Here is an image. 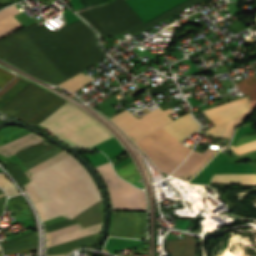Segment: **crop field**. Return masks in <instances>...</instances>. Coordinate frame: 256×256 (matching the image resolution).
<instances>
[{
	"instance_id": "1d83c4d3",
	"label": "crop field",
	"mask_w": 256,
	"mask_h": 256,
	"mask_svg": "<svg viewBox=\"0 0 256 256\" xmlns=\"http://www.w3.org/2000/svg\"><path fill=\"white\" fill-rule=\"evenodd\" d=\"M0 187L2 188V187H4V189L3 190H5L7 193H8V195L11 193V192H13V191H11L10 189H8V188H6L5 186H3L1 183H0Z\"/></svg>"
},
{
	"instance_id": "ac0d7876",
	"label": "crop field",
	"mask_w": 256,
	"mask_h": 256,
	"mask_svg": "<svg viewBox=\"0 0 256 256\" xmlns=\"http://www.w3.org/2000/svg\"><path fill=\"white\" fill-rule=\"evenodd\" d=\"M43 201L89 208L99 201V191L84 167L71 155L33 174L28 183ZM40 202L42 221L62 215L73 218L84 208Z\"/></svg>"
},
{
	"instance_id": "22f410ed",
	"label": "crop field",
	"mask_w": 256,
	"mask_h": 256,
	"mask_svg": "<svg viewBox=\"0 0 256 256\" xmlns=\"http://www.w3.org/2000/svg\"><path fill=\"white\" fill-rule=\"evenodd\" d=\"M98 235L99 233L47 248L46 255L68 253L72 249L82 246L92 247Z\"/></svg>"
},
{
	"instance_id": "00972430",
	"label": "crop field",
	"mask_w": 256,
	"mask_h": 256,
	"mask_svg": "<svg viewBox=\"0 0 256 256\" xmlns=\"http://www.w3.org/2000/svg\"><path fill=\"white\" fill-rule=\"evenodd\" d=\"M67 155H69V154L64 151V152H62V153H60V154H58V155H56V156H54V157H52V158L46 160V161H44L43 163H41V164L35 166L34 168H32V169H30V170H28V171H29L31 174H33V173H35V172H37V171H39V170H41V169H43V168L49 166L50 164H52V163H54V162L60 160L61 158L65 157V156H67ZM28 171L25 172V173H26V174L28 175V177L30 178V174H29Z\"/></svg>"
},
{
	"instance_id": "5142ce71",
	"label": "crop field",
	"mask_w": 256,
	"mask_h": 256,
	"mask_svg": "<svg viewBox=\"0 0 256 256\" xmlns=\"http://www.w3.org/2000/svg\"><path fill=\"white\" fill-rule=\"evenodd\" d=\"M210 183H234V184L256 185V174L213 175Z\"/></svg>"
},
{
	"instance_id": "214f88e0",
	"label": "crop field",
	"mask_w": 256,
	"mask_h": 256,
	"mask_svg": "<svg viewBox=\"0 0 256 256\" xmlns=\"http://www.w3.org/2000/svg\"><path fill=\"white\" fill-rule=\"evenodd\" d=\"M37 231L34 232H30L28 234H25L23 236H20L16 239H13L11 241H8L6 243L1 244L0 246L2 247V249L5 248H10V247H14V246H19V245H23V244H28V243H33V242H37Z\"/></svg>"
},
{
	"instance_id": "34b2d1b8",
	"label": "crop field",
	"mask_w": 256,
	"mask_h": 256,
	"mask_svg": "<svg viewBox=\"0 0 256 256\" xmlns=\"http://www.w3.org/2000/svg\"><path fill=\"white\" fill-rule=\"evenodd\" d=\"M199 127L187 113L162 128L182 142L183 137L198 130ZM162 128L136 144L161 171L169 174L183 161L191 149L185 147Z\"/></svg>"
},
{
	"instance_id": "8a807250",
	"label": "crop field",
	"mask_w": 256,
	"mask_h": 256,
	"mask_svg": "<svg viewBox=\"0 0 256 256\" xmlns=\"http://www.w3.org/2000/svg\"><path fill=\"white\" fill-rule=\"evenodd\" d=\"M67 103L30 83L17 96L7 102L0 109V112L35 126ZM79 110L69 103L41 122L40 125L55 131L52 133L54 135ZM54 136L65 143L80 147H90L113 137L102 125L81 110Z\"/></svg>"
},
{
	"instance_id": "412701ff",
	"label": "crop field",
	"mask_w": 256,
	"mask_h": 256,
	"mask_svg": "<svg viewBox=\"0 0 256 256\" xmlns=\"http://www.w3.org/2000/svg\"><path fill=\"white\" fill-rule=\"evenodd\" d=\"M97 170L107 184L112 210L146 209L144 192L117 177L109 162Z\"/></svg>"
},
{
	"instance_id": "3316defc",
	"label": "crop field",
	"mask_w": 256,
	"mask_h": 256,
	"mask_svg": "<svg viewBox=\"0 0 256 256\" xmlns=\"http://www.w3.org/2000/svg\"><path fill=\"white\" fill-rule=\"evenodd\" d=\"M197 247L194 236L186 233L184 239L165 240V248L170 256H196Z\"/></svg>"
},
{
	"instance_id": "f4fd0767",
	"label": "crop field",
	"mask_w": 256,
	"mask_h": 256,
	"mask_svg": "<svg viewBox=\"0 0 256 256\" xmlns=\"http://www.w3.org/2000/svg\"><path fill=\"white\" fill-rule=\"evenodd\" d=\"M252 111L249 109L247 97L203 110V113L216 125L206 133L230 138L238 122Z\"/></svg>"
},
{
	"instance_id": "a9b5d70f",
	"label": "crop field",
	"mask_w": 256,
	"mask_h": 256,
	"mask_svg": "<svg viewBox=\"0 0 256 256\" xmlns=\"http://www.w3.org/2000/svg\"><path fill=\"white\" fill-rule=\"evenodd\" d=\"M9 204L14 211V215H17L19 212L27 207L21 195L10 198Z\"/></svg>"
},
{
	"instance_id": "dafd665d",
	"label": "crop field",
	"mask_w": 256,
	"mask_h": 256,
	"mask_svg": "<svg viewBox=\"0 0 256 256\" xmlns=\"http://www.w3.org/2000/svg\"><path fill=\"white\" fill-rule=\"evenodd\" d=\"M115 171H116L117 175H119L121 178H123L131 183L140 179L132 162L126 164L125 166H123Z\"/></svg>"
},
{
	"instance_id": "d9b57169",
	"label": "crop field",
	"mask_w": 256,
	"mask_h": 256,
	"mask_svg": "<svg viewBox=\"0 0 256 256\" xmlns=\"http://www.w3.org/2000/svg\"><path fill=\"white\" fill-rule=\"evenodd\" d=\"M28 82L20 77L14 78L9 82L7 86L0 90V107H2L7 101H9L14 95H16L21 89H23Z\"/></svg>"
},
{
	"instance_id": "92a150f3",
	"label": "crop field",
	"mask_w": 256,
	"mask_h": 256,
	"mask_svg": "<svg viewBox=\"0 0 256 256\" xmlns=\"http://www.w3.org/2000/svg\"><path fill=\"white\" fill-rule=\"evenodd\" d=\"M7 171L13 176L15 181L21 186L27 182H29L28 178L26 177L25 173L22 171L21 167L14 165L9 162L1 161ZM11 176V177H12Z\"/></svg>"
},
{
	"instance_id": "730fd06b",
	"label": "crop field",
	"mask_w": 256,
	"mask_h": 256,
	"mask_svg": "<svg viewBox=\"0 0 256 256\" xmlns=\"http://www.w3.org/2000/svg\"><path fill=\"white\" fill-rule=\"evenodd\" d=\"M15 75L0 68V87L10 81Z\"/></svg>"
},
{
	"instance_id": "4a817a6b",
	"label": "crop field",
	"mask_w": 256,
	"mask_h": 256,
	"mask_svg": "<svg viewBox=\"0 0 256 256\" xmlns=\"http://www.w3.org/2000/svg\"><path fill=\"white\" fill-rule=\"evenodd\" d=\"M92 81L93 79L80 73L74 76L73 78L65 81L64 83L60 84L59 86H62L63 88L73 92Z\"/></svg>"
},
{
	"instance_id": "e52e79f7",
	"label": "crop field",
	"mask_w": 256,
	"mask_h": 256,
	"mask_svg": "<svg viewBox=\"0 0 256 256\" xmlns=\"http://www.w3.org/2000/svg\"><path fill=\"white\" fill-rule=\"evenodd\" d=\"M110 236L146 238V213L113 212Z\"/></svg>"
},
{
	"instance_id": "4177f3b9",
	"label": "crop field",
	"mask_w": 256,
	"mask_h": 256,
	"mask_svg": "<svg viewBox=\"0 0 256 256\" xmlns=\"http://www.w3.org/2000/svg\"><path fill=\"white\" fill-rule=\"evenodd\" d=\"M78 229H81V227L78 223L67 226V227H64L62 229L47 233L46 234V240L50 239V238H53V237H56V236H59V235H62V234H66V233L78 230Z\"/></svg>"
},
{
	"instance_id": "bd1437ed",
	"label": "crop field",
	"mask_w": 256,
	"mask_h": 256,
	"mask_svg": "<svg viewBox=\"0 0 256 256\" xmlns=\"http://www.w3.org/2000/svg\"><path fill=\"white\" fill-rule=\"evenodd\" d=\"M33 250H36V248L22 249V250H16V251H11V252H6V253H4V255L13 254V253H19V252H25V251H33Z\"/></svg>"
},
{
	"instance_id": "dd49c442",
	"label": "crop field",
	"mask_w": 256,
	"mask_h": 256,
	"mask_svg": "<svg viewBox=\"0 0 256 256\" xmlns=\"http://www.w3.org/2000/svg\"><path fill=\"white\" fill-rule=\"evenodd\" d=\"M170 112H172L170 108L163 112L157 108L136 119L132 114L125 110L110 119L136 143L170 122L172 119L166 115Z\"/></svg>"
},
{
	"instance_id": "750c4746",
	"label": "crop field",
	"mask_w": 256,
	"mask_h": 256,
	"mask_svg": "<svg viewBox=\"0 0 256 256\" xmlns=\"http://www.w3.org/2000/svg\"><path fill=\"white\" fill-rule=\"evenodd\" d=\"M0 182L5 185L6 187L10 188L11 190H13L14 192L11 193L9 196L13 195V194H17V191L15 189V187L4 177L3 174H0Z\"/></svg>"
},
{
	"instance_id": "ae1a2a85",
	"label": "crop field",
	"mask_w": 256,
	"mask_h": 256,
	"mask_svg": "<svg viewBox=\"0 0 256 256\" xmlns=\"http://www.w3.org/2000/svg\"><path fill=\"white\" fill-rule=\"evenodd\" d=\"M23 188L30 194V197L33 200L34 204L41 201L38 194L33 191L27 184Z\"/></svg>"
},
{
	"instance_id": "120bbe31",
	"label": "crop field",
	"mask_w": 256,
	"mask_h": 256,
	"mask_svg": "<svg viewBox=\"0 0 256 256\" xmlns=\"http://www.w3.org/2000/svg\"><path fill=\"white\" fill-rule=\"evenodd\" d=\"M159 107L162 108L163 110L169 108V106H168L167 103H165V104H163V105H161V106H159Z\"/></svg>"
},
{
	"instance_id": "cbeb9de0",
	"label": "crop field",
	"mask_w": 256,
	"mask_h": 256,
	"mask_svg": "<svg viewBox=\"0 0 256 256\" xmlns=\"http://www.w3.org/2000/svg\"><path fill=\"white\" fill-rule=\"evenodd\" d=\"M18 13L15 5L0 11V37L22 26L12 17Z\"/></svg>"
},
{
	"instance_id": "28ad6ade",
	"label": "crop field",
	"mask_w": 256,
	"mask_h": 256,
	"mask_svg": "<svg viewBox=\"0 0 256 256\" xmlns=\"http://www.w3.org/2000/svg\"><path fill=\"white\" fill-rule=\"evenodd\" d=\"M42 137L30 132L10 143L0 146V154L9 157L13 154L21 152L41 141H43Z\"/></svg>"
},
{
	"instance_id": "e1f06a70",
	"label": "crop field",
	"mask_w": 256,
	"mask_h": 256,
	"mask_svg": "<svg viewBox=\"0 0 256 256\" xmlns=\"http://www.w3.org/2000/svg\"><path fill=\"white\" fill-rule=\"evenodd\" d=\"M0 256H1V251H0Z\"/></svg>"
},
{
	"instance_id": "d32e631a",
	"label": "crop field",
	"mask_w": 256,
	"mask_h": 256,
	"mask_svg": "<svg viewBox=\"0 0 256 256\" xmlns=\"http://www.w3.org/2000/svg\"><path fill=\"white\" fill-rule=\"evenodd\" d=\"M52 256H66V254H62V255H52Z\"/></svg>"
},
{
	"instance_id": "eef30255",
	"label": "crop field",
	"mask_w": 256,
	"mask_h": 256,
	"mask_svg": "<svg viewBox=\"0 0 256 256\" xmlns=\"http://www.w3.org/2000/svg\"><path fill=\"white\" fill-rule=\"evenodd\" d=\"M73 223H76L75 221L69 219L67 221H64V222H61V223H58V224H55V225H52V226H49V227H46L45 228V231L46 233L49 232V231H52V230H55L57 228H60V227H63V226H66V225H69V224H73Z\"/></svg>"
},
{
	"instance_id": "d8731c3e",
	"label": "crop field",
	"mask_w": 256,
	"mask_h": 256,
	"mask_svg": "<svg viewBox=\"0 0 256 256\" xmlns=\"http://www.w3.org/2000/svg\"><path fill=\"white\" fill-rule=\"evenodd\" d=\"M102 217V204L101 201L97 202L95 205L84 211L83 213L79 214L73 220L77 221L82 228L100 224ZM101 229V224L84 228L66 235H62L50 240L46 241V248L50 246H54L66 241H70L79 237H83L89 234H93L99 232Z\"/></svg>"
},
{
	"instance_id": "d3111659",
	"label": "crop field",
	"mask_w": 256,
	"mask_h": 256,
	"mask_svg": "<svg viewBox=\"0 0 256 256\" xmlns=\"http://www.w3.org/2000/svg\"><path fill=\"white\" fill-rule=\"evenodd\" d=\"M170 80H172V79L170 78V79L164 81L163 83L168 82V81H170ZM150 83H151V82H150ZM152 88H154V86H153V84L151 83V87H150L148 90H150V89H152ZM165 89H167V87L163 84V85H161V86H159V87H157V88H155V89L149 91L148 93H149L151 96H153V95H155V94H157V93H159V92H161V91H163V90H165Z\"/></svg>"
},
{
	"instance_id": "5a996713",
	"label": "crop field",
	"mask_w": 256,
	"mask_h": 256,
	"mask_svg": "<svg viewBox=\"0 0 256 256\" xmlns=\"http://www.w3.org/2000/svg\"><path fill=\"white\" fill-rule=\"evenodd\" d=\"M217 151L207 149L203 154L193 150L189 157L172 174L177 178L188 179L201 168Z\"/></svg>"
},
{
	"instance_id": "028f5c9d",
	"label": "crop field",
	"mask_w": 256,
	"mask_h": 256,
	"mask_svg": "<svg viewBox=\"0 0 256 256\" xmlns=\"http://www.w3.org/2000/svg\"><path fill=\"white\" fill-rule=\"evenodd\" d=\"M1 196H5V193H3V194H0V197H1Z\"/></svg>"
},
{
	"instance_id": "5866460e",
	"label": "crop field",
	"mask_w": 256,
	"mask_h": 256,
	"mask_svg": "<svg viewBox=\"0 0 256 256\" xmlns=\"http://www.w3.org/2000/svg\"><path fill=\"white\" fill-rule=\"evenodd\" d=\"M4 207L0 208V215L2 214V210H3Z\"/></svg>"
},
{
	"instance_id": "d1516ede",
	"label": "crop field",
	"mask_w": 256,
	"mask_h": 256,
	"mask_svg": "<svg viewBox=\"0 0 256 256\" xmlns=\"http://www.w3.org/2000/svg\"><path fill=\"white\" fill-rule=\"evenodd\" d=\"M202 1H205V0H187V1L181 3V4L177 5V6L169 9L168 11H166V12L156 16L155 18H153V19H151V20H149V21L139 25L138 27H135V28L127 31V32L131 36H133V35L141 32V31H143V30H145V29H147V28H149V27H151V26H153V25H155V24H157V23H159V22H161V21H163V20H165V19H167V18H169V17H171V16H173V15L183 11V10H185L186 8L196 4L198 2H202Z\"/></svg>"
},
{
	"instance_id": "733c2abd",
	"label": "crop field",
	"mask_w": 256,
	"mask_h": 256,
	"mask_svg": "<svg viewBox=\"0 0 256 256\" xmlns=\"http://www.w3.org/2000/svg\"><path fill=\"white\" fill-rule=\"evenodd\" d=\"M52 143L45 140L21 153L16 154V156L19 158V160L23 163L27 161L28 159L32 158L33 156L39 154L40 152L46 150L47 148L51 147Z\"/></svg>"
},
{
	"instance_id": "bc2a9ffb",
	"label": "crop field",
	"mask_w": 256,
	"mask_h": 256,
	"mask_svg": "<svg viewBox=\"0 0 256 256\" xmlns=\"http://www.w3.org/2000/svg\"><path fill=\"white\" fill-rule=\"evenodd\" d=\"M236 85L239 90H242L248 95L249 100H256V76L238 81Z\"/></svg>"
}]
</instances>
